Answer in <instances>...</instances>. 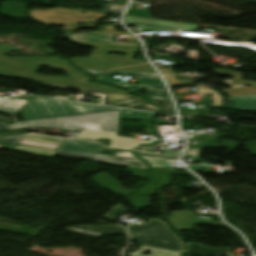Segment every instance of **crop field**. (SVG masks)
<instances>
[{"label": "crop field", "instance_id": "1", "mask_svg": "<svg viewBox=\"0 0 256 256\" xmlns=\"http://www.w3.org/2000/svg\"><path fill=\"white\" fill-rule=\"evenodd\" d=\"M14 50L18 49L6 44L0 45V76L131 95L115 88L89 82L87 75L59 57L7 58L3 56L4 53ZM42 65L66 71L67 79L36 74Z\"/></svg>", "mask_w": 256, "mask_h": 256}, {"label": "crop field", "instance_id": "2", "mask_svg": "<svg viewBox=\"0 0 256 256\" xmlns=\"http://www.w3.org/2000/svg\"><path fill=\"white\" fill-rule=\"evenodd\" d=\"M117 125L118 111L20 122L14 124V130L27 127L81 130L75 137L91 140L99 138L111 139L110 146L125 149H134L141 143H156L154 141L117 136Z\"/></svg>", "mask_w": 256, "mask_h": 256}, {"label": "crop field", "instance_id": "3", "mask_svg": "<svg viewBox=\"0 0 256 256\" xmlns=\"http://www.w3.org/2000/svg\"><path fill=\"white\" fill-rule=\"evenodd\" d=\"M110 110H119V117L149 118L153 113H146L134 110H123L105 106L80 105L75 102L34 98L21 109V114L25 121L78 115ZM153 116V115H152Z\"/></svg>", "mask_w": 256, "mask_h": 256}, {"label": "crop field", "instance_id": "4", "mask_svg": "<svg viewBox=\"0 0 256 256\" xmlns=\"http://www.w3.org/2000/svg\"><path fill=\"white\" fill-rule=\"evenodd\" d=\"M107 51L110 50L95 48L88 58L69 59L73 64L81 69L156 74L146 61L132 60L134 54L128 53V57L106 56Z\"/></svg>", "mask_w": 256, "mask_h": 256}, {"label": "crop field", "instance_id": "5", "mask_svg": "<svg viewBox=\"0 0 256 256\" xmlns=\"http://www.w3.org/2000/svg\"><path fill=\"white\" fill-rule=\"evenodd\" d=\"M102 149H108L106 147H101L95 144L83 142L76 139L66 140L62 146L59 148L56 154L67 155L82 159L107 162L120 164L125 166H134L139 168H148V164L144 161L138 159L132 154V151L116 152V157L104 156V155H90L91 153H96Z\"/></svg>", "mask_w": 256, "mask_h": 256}, {"label": "crop field", "instance_id": "6", "mask_svg": "<svg viewBox=\"0 0 256 256\" xmlns=\"http://www.w3.org/2000/svg\"><path fill=\"white\" fill-rule=\"evenodd\" d=\"M128 229L131 232L132 239L139 244L183 252L184 243L174 233L170 232L167 225L162 221L151 219L143 226L130 225Z\"/></svg>", "mask_w": 256, "mask_h": 256}, {"label": "crop field", "instance_id": "7", "mask_svg": "<svg viewBox=\"0 0 256 256\" xmlns=\"http://www.w3.org/2000/svg\"><path fill=\"white\" fill-rule=\"evenodd\" d=\"M82 12V10L66 8H53L48 10L34 9L30 11L29 15L31 16V18L38 20L46 25H64V30L95 26L96 23L82 26L66 25L77 24L81 22H97V20L103 19L107 16L104 13L100 12L86 11L85 15H83Z\"/></svg>", "mask_w": 256, "mask_h": 256}, {"label": "crop field", "instance_id": "8", "mask_svg": "<svg viewBox=\"0 0 256 256\" xmlns=\"http://www.w3.org/2000/svg\"><path fill=\"white\" fill-rule=\"evenodd\" d=\"M112 35L106 34H92V33H84V34H76L70 35V41L78 43L80 45L92 46L110 50L124 51L135 53L140 50V43L136 38L129 37L126 44L112 43L110 42V38Z\"/></svg>", "mask_w": 256, "mask_h": 256}, {"label": "crop field", "instance_id": "9", "mask_svg": "<svg viewBox=\"0 0 256 256\" xmlns=\"http://www.w3.org/2000/svg\"><path fill=\"white\" fill-rule=\"evenodd\" d=\"M43 85L72 88V87L59 86V85H53V84H47V83H43ZM72 89H78V88H72ZM79 90L82 93L101 95V104H104V105L159 112V109L157 107L153 105H149L150 103L148 104L147 101L138 97L114 94V93H108V92H102V91L86 90V89H79Z\"/></svg>", "mask_w": 256, "mask_h": 256}, {"label": "crop field", "instance_id": "10", "mask_svg": "<svg viewBox=\"0 0 256 256\" xmlns=\"http://www.w3.org/2000/svg\"><path fill=\"white\" fill-rule=\"evenodd\" d=\"M99 80L120 85L122 87L128 88L133 91H137L142 87H146L151 94V98H157L162 100H169L165 90L163 89V84L160 79L153 78H139L141 85H128L124 84L116 79H113L111 75H101V74H93Z\"/></svg>", "mask_w": 256, "mask_h": 256}, {"label": "crop field", "instance_id": "11", "mask_svg": "<svg viewBox=\"0 0 256 256\" xmlns=\"http://www.w3.org/2000/svg\"><path fill=\"white\" fill-rule=\"evenodd\" d=\"M167 218L178 230L192 229L194 223L222 224L221 222H212L210 218L197 217L194 212H176Z\"/></svg>", "mask_w": 256, "mask_h": 256}, {"label": "crop field", "instance_id": "12", "mask_svg": "<svg viewBox=\"0 0 256 256\" xmlns=\"http://www.w3.org/2000/svg\"><path fill=\"white\" fill-rule=\"evenodd\" d=\"M68 230L80 232L82 234L93 235V236L127 234L126 229L119 226L76 227V228H69Z\"/></svg>", "mask_w": 256, "mask_h": 256}, {"label": "crop field", "instance_id": "13", "mask_svg": "<svg viewBox=\"0 0 256 256\" xmlns=\"http://www.w3.org/2000/svg\"><path fill=\"white\" fill-rule=\"evenodd\" d=\"M226 82L228 85H231L233 87V89L222 90L229 97L256 94V82L237 80V79H231ZM248 84H251L252 87L243 88ZM235 92H239V93L236 94Z\"/></svg>", "mask_w": 256, "mask_h": 256}, {"label": "crop field", "instance_id": "14", "mask_svg": "<svg viewBox=\"0 0 256 256\" xmlns=\"http://www.w3.org/2000/svg\"><path fill=\"white\" fill-rule=\"evenodd\" d=\"M188 254L199 255V256H229V249H210L202 246L201 244H187ZM220 253V255H218Z\"/></svg>", "mask_w": 256, "mask_h": 256}, {"label": "crop field", "instance_id": "15", "mask_svg": "<svg viewBox=\"0 0 256 256\" xmlns=\"http://www.w3.org/2000/svg\"><path fill=\"white\" fill-rule=\"evenodd\" d=\"M187 94H197V93L192 92ZM187 94H179V95H187ZM228 101L234 102L236 106H233V107L223 106L224 108H230V109H236V110H242V111H249V110L256 109V95L228 98ZM253 112H256V111H253Z\"/></svg>", "mask_w": 256, "mask_h": 256}, {"label": "crop field", "instance_id": "16", "mask_svg": "<svg viewBox=\"0 0 256 256\" xmlns=\"http://www.w3.org/2000/svg\"><path fill=\"white\" fill-rule=\"evenodd\" d=\"M152 174H153L152 183L145 186L140 192L151 193L170 183V173L152 171Z\"/></svg>", "mask_w": 256, "mask_h": 256}, {"label": "crop field", "instance_id": "17", "mask_svg": "<svg viewBox=\"0 0 256 256\" xmlns=\"http://www.w3.org/2000/svg\"><path fill=\"white\" fill-rule=\"evenodd\" d=\"M92 179H94L97 183L101 184L102 186L106 187L107 189L115 193H118V194L126 193V190L120 185L119 181H117L116 179H114L113 177H111L105 172L100 173L98 176Z\"/></svg>", "mask_w": 256, "mask_h": 256}, {"label": "crop field", "instance_id": "18", "mask_svg": "<svg viewBox=\"0 0 256 256\" xmlns=\"http://www.w3.org/2000/svg\"><path fill=\"white\" fill-rule=\"evenodd\" d=\"M28 4L25 3H18V2H11V1H6L2 3V13L4 15H11V17H19V18H25V12ZM5 7H10V8H18L22 10H17V9H9ZM3 10H9V11H17V12H22V13H16V12H8V11H3Z\"/></svg>", "mask_w": 256, "mask_h": 256}, {"label": "crop field", "instance_id": "19", "mask_svg": "<svg viewBox=\"0 0 256 256\" xmlns=\"http://www.w3.org/2000/svg\"><path fill=\"white\" fill-rule=\"evenodd\" d=\"M16 102V100L0 98V111L10 113V116L15 117L21 109L20 107L12 106Z\"/></svg>", "mask_w": 256, "mask_h": 256}, {"label": "crop field", "instance_id": "20", "mask_svg": "<svg viewBox=\"0 0 256 256\" xmlns=\"http://www.w3.org/2000/svg\"><path fill=\"white\" fill-rule=\"evenodd\" d=\"M141 248L142 249L140 251L130 254V256H142L141 254L147 250L153 252V255H150V256H180L181 254L179 252L155 249V248H150L145 246H142Z\"/></svg>", "mask_w": 256, "mask_h": 256}, {"label": "crop field", "instance_id": "21", "mask_svg": "<svg viewBox=\"0 0 256 256\" xmlns=\"http://www.w3.org/2000/svg\"><path fill=\"white\" fill-rule=\"evenodd\" d=\"M134 5H135V3H132V5L130 6V8L127 11L126 15H128V16H136V17L152 18V16L150 15L149 11L133 9Z\"/></svg>", "mask_w": 256, "mask_h": 256}, {"label": "crop field", "instance_id": "22", "mask_svg": "<svg viewBox=\"0 0 256 256\" xmlns=\"http://www.w3.org/2000/svg\"><path fill=\"white\" fill-rule=\"evenodd\" d=\"M126 4L127 2H121L119 5H115L114 3H112L106 6L104 12L120 14L123 11Z\"/></svg>", "mask_w": 256, "mask_h": 256}, {"label": "crop field", "instance_id": "23", "mask_svg": "<svg viewBox=\"0 0 256 256\" xmlns=\"http://www.w3.org/2000/svg\"><path fill=\"white\" fill-rule=\"evenodd\" d=\"M153 103L160 106L163 109V113H174L172 105L168 101L152 99Z\"/></svg>", "mask_w": 256, "mask_h": 256}, {"label": "crop field", "instance_id": "24", "mask_svg": "<svg viewBox=\"0 0 256 256\" xmlns=\"http://www.w3.org/2000/svg\"><path fill=\"white\" fill-rule=\"evenodd\" d=\"M89 71H90L91 73H101V74H120V75H136V76H152V77H159L158 75H150V74L108 72V71H97V70H89Z\"/></svg>", "mask_w": 256, "mask_h": 256}, {"label": "crop field", "instance_id": "25", "mask_svg": "<svg viewBox=\"0 0 256 256\" xmlns=\"http://www.w3.org/2000/svg\"><path fill=\"white\" fill-rule=\"evenodd\" d=\"M169 86L193 84L192 80L176 81L175 76L165 77Z\"/></svg>", "mask_w": 256, "mask_h": 256}, {"label": "crop field", "instance_id": "26", "mask_svg": "<svg viewBox=\"0 0 256 256\" xmlns=\"http://www.w3.org/2000/svg\"><path fill=\"white\" fill-rule=\"evenodd\" d=\"M21 138L8 137L6 139H0V145L15 147Z\"/></svg>", "mask_w": 256, "mask_h": 256}, {"label": "crop field", "instance_id": "27", "mask_svg": "<svg viewBox=\"0 0 256 256\" xmlns=\"http://www.w3.org/2000/svg\"><path fill=\"white\" fill-rule=\"evenodd\" d=\"M214 71L219 73L220 75H233L234 78L243 79L242 73H236L230 70H223V69H214Z\"/></svg>", "mask_w": 256, "mask_h": 256}, {"label": "crop field", "instance_id": "28", "mask_svg": "<svg viewBox=\"0 0 256 256\" xmlns=\"http://www.w3.org/2000/svg\"><path fill=\"white\" fill-rule=\"evenodd\" d=\"M118 208L119 209H117V207H115L113 209V212L108 214V215H106L105 217L110 218V219H114V218L118 217L119 215L127 212V210H123V206H121V205L118 206Z\"/></svg>", "mask_w": 256, "mask_h": 256}, {"label": "crop field", "instance_id": "29", "mask_svg": "<svg viewBox=\"0 0 256 256\" xmlns=\"http://www.w3.org/2000/svg\"><path fill=\"white\" fill-rule=\"evenodd\" d=\"M127 170L133 172V175H135V176H140V177H145V178H148V177H149V176L146 174V171H147V170H144V169H139V168H134V167H128Z\"/></svg>", "mask_w": 256, "mask_h": 256}, {"label": "crop field", "instance_id": "30", "mask_svg": "<svg viewBox=\"0 0 256 256\" xmlns=\"http://www.w3.org/2000/svg\"><path fill=\"white\" fill-rule=\"evenodd\" d=\"M182 114H210V110L207 109H189V110H181Z\"/></svg>", "mask_w": 256, "mask_h": 256}, {"label": "crop field", "instance_id": "31", "mask_svg": "<svg viewBox=\"0 0 256 256\" xmlns=\"http://www.w3.org/2000/svg\"><path fill=\"white\" fill-rule=\"evenodd\" d=\"M139 156L145 157H153V158H163V159H171V156H162V155H153V154H145V153H137Z\"/></svg>", "mask_w": 256, "mask_h": 256}, {"label": "crop field", "instance_id": "32", "mask_svg": "<svg viewBox=\"0 0 256 256\" xmlns=\"http://www.w3.org/2000/svg\"><path fill=\"white\" fill-rule=\"evenodd\" d=\"M0 130H13V124H5L0 122Z\"/></svg>", "mask_w": 256, "mask_h": 256}, {"label": "crop field", "instance_id": "33", "mask_svg": "<svg viewBox=\"0 0 256 256\" xmlns=\"http://www.w3.org/2000/svg\"><path fill=\"white\" fill-rule=\"evenodd\" d=\"M131 197L134 201V204H137V205L143 204L142 201L146 200V198H143V197H137V196H131Z\"/></svg>", "mask_w": 256, "mask_h": 256}, {"label": "crop field", "instance_id": "34", "mask_svg": "<svg viewBox=\"0 0 256 256\" xmlns=\"http://www.w3.org/2000/svg\"><path fill=\"white\" fill-rule=\"evenodd\" d=\"M102 32H105V33H113V34H125V35H128V34H126L125 32H121V31L103 30Z\"/></svg>", "mask_w": 256, "mask_h": 256}, {"label": "crop field", "instance_id": "35", "mask_svg": "<svg viewBox=\"0 0 256 256\" xmlns=\"http://www.w3.org/2000/svg\"><path fill=\"white\" fill-rule=\"evenodd\" d=\"M161 73H174L173 69H160Z\"/></svg>", "mask_w": 256, "mask_h": 256}, {"label": "crop field", "instance_id": "36", "mask_svg": "<svg viewBox=\"0 0 256 256\" xmlns=\"http://www.w3.org/2000/svg\"><path fill=\"white\" fill-rule=\"evenodd\" d=\"M102 28H106V29H115V27H111V26H104V27H102Z\"/></svg>", "mask_w": 256, "mask_h": 256}, {"label": "crop field", "instance_id": "37", "mask_svg": "<svg viewBox=\"0 0 256 256\" xmlns=\"http://www.w3.org/2000/svg\"><path fill=\"white\" fill-rule=\"evenodd\" d=\"M163 75H169V74H163Z\"/></svg>", "mask_w": 256, "mask_h": 256}]
</instances>
